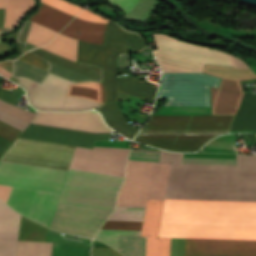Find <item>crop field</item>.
Listing matches in <instances>:
<instances>
[{"label":"crop field","instance_id":"crop-field-29","mask_svg":"<svg viewBox=\"0 0 256 256\" xmlns=\"http://www.w3.org/2000/svg\"><path fill=\"white\" fill-rule=\"evenodd\" d=\"M52 243L18 241L16 256H50Z\"/></svg>","mask_w":256,"mask_h":256},{"label":"crop field","instance_id":"crop-field-23","mask_svg":"<svg viewBox=\"0 0 256 256\" xmlns=\"http://www.w3.org/2000/svg\"><path fill=\"white\" fill-rule=\"evenodd\" d=\"M98 111L102 114L105 122L108 125L112 126L125 136L133 139L135 133L138 131V128L127 124L116 102L104 105L98 108ZM116 121L117 123H115Z\"/></svg>","mask_w":256,"mask_h":256},{"label":"crop field","instance_id":"crop-field-13","mask_svg":"<svg viewBox=\"0 0 256 256\" xmlns=\"http://www.w3.org/2000/svg\"><path fill=\"white\" fill-rule=\"evenodd\" d=\"M152 162L129 160L117 206L145 207Z\"/></svg>","mask_w":256,"mask_h":256},{"label":"crop field","instance_id":"crop-field-48","mask_svg":"<svg viewBox=\"0 0 256 256\" xmlns=\"http://www.w3.org/2000/svg\"><path fill=\"white\" fill-rule=\"evenodd\" d=\"M11 188L12 187H8V186H1L0 185V198L3 200V201H7L8 199V196H9V193L11 191Z\"/></svg>","mask_w":256,"mask_h":256},{"label":"crop field","instance_id":"crop-field-43","mask_svg":"<svg viewBox=\"0 0 256 256\" xmlns=\"http://www.w3.org/2000/svg\"><path fill=\"white\" fill-rule=\"evenodd\" d=\"M77 18L79 19H83V20H89V21H95V22H99V23H112L96 14H93L91 12H88L86 10H83L78 16Z\"/></svg>","mask_w":256,"mask_h":256},{"label":"crop field","instance_id":"crop-field-37","mask_svg":"<svg viewBox=\"0 0 256 256\" xmlns=\"http://www.w3.org/2000/svg\"><path fill=\"white\" fill-rule=\"evenodd\" d=\"M142 222L106 221L102 229L141 230Z\"/></svg>","mask_w":256,"mask_h":256},{"label":"crop field","instance_id":"crop-field-32","mask_svg":"<svg viewBox=\"0 0 256 256\" xmlns=\"http://www.w3.org/2000/svg\"><path fill=\"white\" fill-rule=\"evenodd\" d=\"M51 256H90V248L53 243Z\"/></svg>","mask_w":256,"mask_h":256},{"label":"crop field","instance_id":"crop-field-8","mask_svg":"<svg viewBox=\"0 0 256 256\" xmlns=\"http://www.w3.org/2000/svg\"><path fill=\"white\" fill-rule=\"evenodd\" d=\"M68 171L0 161V184L61 193Z\"/></svg>","mask_w":256,"mask_h":256},{"label":"crop field","instance_id":"crop-field-50","mask_svg":"<svg viewBox=\"0 0 256 256\" xmlns=\"http://www.w3.org/2000/svg\"><path fill=\"white\" fill-rule=\"evenodd\" d=\"M119 66L120 67L129 66V57H128V55L119 54Z\"/></svg>","mask_w":256,"mask_h":256},{"label":"crop field","instance_id":"crop-field-2","mask_svg":"<svg viewBox=\"0 0 256 256\" xmlns=\"http://www.w3.org/2000/svg\"><path fill=\"white\" fill-rule=\"evenodd\" d=\"M154 54L162 72H202L204 64L234 67L231 55L154 34ZM220 78L204 73H163L156 99L189 98L190 115H211L209 87ZM235 116H150L134 141L156 148L192 152L229 133Z\"/></svg>","mask_w":256,"mask_h":256},{"label":"crop field","instance_id":"crop-field-11","mask_svg":"<svg viewBox=\"0 0 256 256\" xmlns=\"http://www.w3.org/2000/svg\"><path fill=\"white\" fill-rule=\"evenodd\" d=\"M109 214L108 212L58 204L50 228L92 238Z\"/></svg>","mask_w":256,"mask_h":256},{"label":"crop field","instance_id":"crop-field-33","mask_svg":"<svg viewBox=\"0 0 256 256\" xmlns=\"http://www.w3.org/2000/svg\"><path fill=\"white\" fill-rule=\"evenodd\" d=\"M141 231L100 230L94 239L105 242L117 250L118 235H140Z\"/></svg>","mask_w":256,"mask_h":256},{"label":"crop field","instance_id":"crop-field-40","mask_svg":"<svg viewBox=\"0 0 256 256\" xmlns=\"http://www.w3.org/2000/svg\"><path fill=\"white\" fill-rule=\"evenodd\" d=\"M0 120L23 131L27 126L28 124L0 111Z\"/></svg>","mask_w":256,"mask_h":256},{"label":"crop field","instance_id":"crop-field-24","mask_svg":"<svg viewBox=\"0 0 256 256\" xmlns=\"http://www.w3.org/2000/svg\"><path fill=\"white\" fill-rule=\"evenodd\" d=\"M169 166L168 163L153 162L148 198L164 199Z\"/></svg>","mask_w":256,"mask_h":256},{"label":"crop field","instance_id":"crop-field-34","mask_svg":"<svg viewBox=\"0 0 256 256\" xmlns=\"http://www.w3.org/2000/svg\"><path fill=\"white\" fill-rule=\"evenodd\" d=\"M0 110L30 124V122L33 120V118L35 117L34 112H30L27 110H23L20 108H17L11 104H8L2 100H0Z\"/></svg>","mask_w":256,"mask_h":256},{"label":"crop field","instance_id":"crop-field-26","mask_svg":"<svg viewBox=\"0 0 256 256\" xmlns=\"http://www.w3.org/2000/svg\"><path fill=\"white\" fill-rule=\"evenodd\" d=\"M77 44V40L68 38L62 34H58L48 45L41 48L47 49L65 58L76 61Z\"/></svg>","mask_w":256,"mask_h":256},{"label":"crop field","instance_id":"crop-field-30","mask_svg":"<svg viewBox=\"0 0 256 256\" xmlns=\"http://www.w3.org/2000/svg\"><path fill=\"white\" fill-rule=\"evenodd\" d=\"M160 3L157 0H140L127 15V20L137 23H145L148 16Z\"/></svg>","mask_w":256,"mask_h":256},{"label":"crop field","instance_id":"crop-field-44","mask_svg":"<svg viewBox=\"0 0 256 256\" xmlns=\"http://www.w3.org/2000/svg\"><path fill=\"white\" fill-rule=\"evenodd\" d=\"M92 256H121L110 248L93 247Z\"/></svg>","mask_w":256,"mask_h":256},{"label":"crop field","instance_id":"crop-field-18","mask_svg":"<svg viewBox=\"0 0 256 256\" xmlns=\"http://www.w3.org/2000/svg\"><path fill=\"white\" fill-rule=\"evenodd\" d=\"M28 53L56 63L99 82L102 80V68L76 63L41 48L32 50Z\"/></svg>","mask_w":256,"mask_h":256},{"label":"crop field","instance_id":"crop-field-49","mask_svg":"<svg viewBox=\"0 0 256 256\" xmlns=\"http://www.w3.org/2000/svg\"><path fill=\"white\" fill-rule=\"evenodd\" d=\"M11 144L12 142L0 137V158L6 152V150L9 148Z\"/></svg>","mask_w":256,"mask_h":256},{"label":"crop field","instance_id":"crop-field-53","mask_svg":"<svg viewBox=\"0 0 256 256\" xmlns=\"http://www.w3.org/2000/svg\"><path fill=\"white\" fill-rule=\"evenodd\" d=\"M0 74L6 76L7 78L10 79L11 73L0 67Z\"/></svg>","mask_w":256,"mask_h":256},{"label":"crop field","instance_id":"crop-field-12","mask_svg":"<svg viewBox=\"0 0 256 256\" xmlns=\"http://www.w3.org/2000/svg\"><path fill=\"white\" fill-rule=\"evenodd\" d=\"M33 191L13 187L7 204L26 215ZM60 195L35 190L26 217L50 227Z\"/></svg>","mask_w":256,"mask_h":256},{"label":"crop field","instance_id":"crop-field-20","mask_svg":"<svg viewBox=\"0 0 256 256\" xmlns=\"http://www.w3.org/2000/svg\"><path fill=\"white\" fill-rule=\"evenodd\" d=\"M72 18L73 16L42 3L29 20L59 32Z\"/></svg>","mask_w":256,"mask_h":256},{"label":"crop field","instance_id":"crop-field-28","mask_svg":"<svg viewBox=\"0 0 256 256\" xmlns=\"http://www.w3.org/2000/svg\"><path fill=\"white\" fill-rule=\"evenodd\" d=\"M146 237L120 236L118 252L124 256H145Z\"/></svg>","mask_w":256,"mask_h":256},{"label":"crop field","instance_id":"crop-field-1","mask_svg":"<svg viewBox=\"0 0 256 256\" xmlns=\"http://www.w3.org/2000/svg\"><path fill=\"white\" fill-rule=\"evenodd\" d=\"M183 156L161 150L168 182L256 184V155L236 154L237 166L182 164ZM165 199L256 201V185L168 183ZM185 200H165L158 237L256 240V202Z\"/></svg>","mask_w":256,"mask_h":256},{"label":"crop field","instance_id":"crop-field-36","mask_svg":"<svg viewBox=\"0 0 256 256\" xmlns=\"http://www.w3.org/2000/svg\"><path fill=\"white\" fill-rule=\"evenodd\" d=\"M41 1L47 5H50L54 8L62 10V11L69 13L73 16L77 15L81 10H83L82 8H80L76 5L67 3L63 0H41Z\"/></svg>","mask_w":256,"mask_h":256},{"label":"crop field","instance_id":"crop-field-17","mask_svg":"<svg viewBox=\"0 0 256 256\" xmlns=\"http://www.w3.org/2000/svg\"><path fill=\"white\" fill-rule=\"evenodd\" d=\"M106 24L82 21L75 18L61 33L76 39L94 44H103V33ZM79 32V34H77Z\"/></svg>","mask_w":256,"mask_h":256},{"label":"crop field","instance_id":"crop-field-38","mask_svg":"<svg viewBox=\"0 0 256 256\" xmlns=\"http://www.w3.org/2000/svg\"><path fill=\"white\" fill-rule=\"evenodd\" d=\"M21 131L0 121V136L14 142Z\"/></svg>","mask_w":256,"mask_h":256},{"label":"crop field","instance_id":"crop-field-41","mask_svg":"<svg viewBox=\"0 0 256 256\" xmlns=\"http://www.w3.org/2000/svg\"><path fill=\"white\" fill-rule=\"evenodd\" d=\"M132 150L159 153V151L136 150V149H132ZM158 158H159V155H155V154H145V153H135V152H131L129 159H134V160H146V161H155V162H158Z\"/></svg>","mask_w":256,"mask_h":256},{"label":"crop field","instance_id":"crop-field-52","mask_svg":"<svg viewBox=\"0 0 256 256\" xmlns=\"http://www.w3.org/2000/svg\"><path fill=\"white\" fill-rule=\"evenodd\" d=\"M4 24V9H0V27Z\"/></svg>","mask_w":256,"mask_h":256},{"label":"crop field","instance_id":"crop-field-4","mask_svg":"<svg viewBox=\"0 0 256 256\" xmlns=\"http://www.w3.org/2000/svg\"><path fill=\"white\" fill-rule=\"evenodd\" d=\"M34 124L73 129L86 132H111L94 111L79 113L38 112ZM30 124L22 138L93 148L95 141L109 140L110 133L93 134Z\"/></svg>","mask_w":256,"mask_h":256},{"label":"crop field","instance_id":"crop-field-9","mask_svg":"<svg viewBox=\"0 0 256 256\" xmlns=\"http://www.w3.org/2000/svg\"><path fill=\"white\" fill-rule=\"evenodd\" d=\"M204 73L222 78L218 89L210 88L212 115H235L243 91L239 80L255 79L251 69H232L205 65Z\"/></svg>","mask_w":256,"mask_h":256},{"label":"crop field","instance_id":"crop-field-21","mask_svg":"<svg viewBox=\"0 0 256 256\" xmlns=\"http://www.w3.org/2000/svg\"><path fill=\"white\" fill-rule=\"evenodd\" d=\"M34 0H0V8H5L4 27H16L20 19L30 10ZM13 28H0V35ZM1 42V41H0Z\"/></svg>","mask_w":256,"mask_h":256},{"label":"crop field","instance_id":"crop-field-7","mask_svg":"<svg viewBox=\"0 0 256 256\" xmlns=\"http://www.w3.org/2000/svg\"><path fill=\"white\" fill-rule=\"evenodd\" d=\"M76 148L18 138L1 160L69 170Z\"/></svg>","mask_w":256,"mask_h":256},{"label":"crop field","instance_id":"crop-field-27","mask_svg":"<svg viewBox=\"0 0 256 256\" xmlns=\"http://www.w3.org/2000/svg\"><path fill=\"white\" fill-rule=\"evenodd\" d=\"M47 229L21 216L19 239L25 241L45 242Z\"/></svg>","mask_w":256,"mask_h":256},{"label":"crop field","instance_id":"crop-field-45","mask_svg":"<svg viewBox=\"0 0 256 256\" xmlns=\"http://www.w3.org/2000/svg\"><path fill=\"white\" fill-rule=\"evenodd\" d=\"M115 3L118 7L122 8L124 11L129 12L132 7L137 3L138 0H109Z\"/></svg>","mask_w":256,"mask_h":256},{"label":"crop field","instance_id":"crop-field-19","mask_svg":"<svg viewBox=\"0 0 256 256\" xmlns=\"http://www.w3.org/2000/svg\"><path fill=\"white\" fill-rule=\"evenodd\" d=\"M256 131V94L245 93L231 131Z\"/></svg>","mask_w":256,"mask_h":256},{"label":"crop field","instance_id":"crop-field-54","mask_svg":"<svg viewBox=\"0 0 256 256\" xmlns=\"http://www.w3.org/2000/svg\"><path fill=\"white\" fill-rule=\"evenodd\" d=\"M34 47H37V46L26 42L25 46H24V49L25 50H29V49L34 48Z\"/></svg>","mask_w":256,"mask_h":256},{"label":"crop field","instance_id":"crop-field-15","mask_svg":"<svg viewBox=\"0 0 256 256\" xmlns=\"http://www.w3.org/2000/svg\"><path fill=\"white\" fill-rule=\"evenodd\" d=\"M20 60H23L27 63H30L32 65H35L39 68H42L46 70L49 65H51L47 71L52 72L54 74H57L59 76H62L64 78H67L69 80H72L74 82H80V81H94L92 79H89L87 77H84L80 74H77L75 72H72L70 70H67L65 68H62L60 66H57L55 64H52L49 62V65L47 61L40 59L38 57H35L33 55H30L28 53H25L23 56L18 58ZM13 60V74L12 78H26L33 81H37L42 83L44 78L48 75V72L41 70L37 67H34L32 65H29L25 62H22L20 60Z\"/></svg>","mask_w":256,"mask_h":256},{"label":"crop field","instance_id":"crop-field-5","mask_svg":"<svg viewBox=\"0 0 256 256\" xmlns=\"http://www.w3.org/2000/svg\"><path fill=\"white\" fill-rule=\"evenodd\" d=\"M122 180L70 170L59 203L112 212Z\"/></svg>","mask_w":256,"mask_h":256},{"label":"crop field","instance_id":"crop-field-14","mask_svg":"<svg viewBox=\"0 0 256 256\" xmlns=\"http://www.w3.org/2000/svg\"><path fill=\"white\" fill-rule=\"evenodd\" d=\"M184 256H256V241L185 239Z\"/></svg>","mask_w":256,"mask_h":256},{"label":"crop field","instance_id":"crop-field-10","mask_svg":"<svg viewBox=\"0 0 256 256\" xmlns=\"http://www.w3.org/2000/svg\"><path fill=\"white\" fill-rule=\"evenodd\" d=\"M130 149L78 148L70 169L124 177Z\"/></svg>","mask_w":256,"mask_h":256},{"label":"crop field","instance_id":"crop-field-31","mask_svg":"<svg viewBox=\"0 0 256 256\" xmlns=\"http://www.w3.org/2000/svg\"><path fill=\"white\" fill-rule=\"evenodd\" d=\"M56 34L57 32L33 22L26 41L40 46L48 43Z\"/></svg>","mask_w":256,"mask_h":256},{"label":"crop field","instance_id":"crop-field-39","mask_svg":"<svg viewBox=\"0 0 256 256\" xmlns=\"http://www.w3.org/2000/svg\"><path fill=\"white\" fill-rule=\"evenodd\" d=\"M184 163L235 165V160L184 158Z\"/></svg>","mask_w":256,"mask_h":256},{"label":"crop field","instance_id":"crop-field-16","mask_svg":"<svg viewBox=\"0 0 256 256\" xmlns=\"http://www.w3.org/2000/svg\"><path fill=\"white\" fill-rule=\"evenodd\" d=\"M164 200L147 199L141 236H147L146 256H169L171 238H157Z\"/></svg>","mask_w":256,"mask_h":256},{"label":"crop field","instance_id":"crop-field-35","mask_svg":"<svg viewBox=\"0 0 256 256\" xmlns=\"http://www.w3.org/2000/svg\"><path fill=\"white\" fill-rule=\"evenodd\" d=\"M143 208H122L118 207L110 218L111 220H135L141 221Z\"/></svg>","mask_w":256,"mask_h":256},{"label":"crop field","instance_id":"crop-field-51","mask_svg":"<svg viewBox=\"0 0 256 256\" xmlns=\"http://www.w3.org/2000/svg\"><path fill=\"white\" fill-rule=\"evenodd\" d=\"M233 59H234L236 68H249L245 62H243L235 57H233Z\"/></svg>","mask_w":256,"mask_h":256},{"label":"crop field","instance_id":"crop-field-3","mask_svg":"<svg viewBox=\"0 0 256 256\" xmlns=\"http://www.w3.org/2000/svg\"><path fill=\"white\" fill-rule=\"evenodd\" d=\"M121 28L116 24H107L104 35V45H94L79 41L78 62L102 67L104 52L119 53ZM127 45L135 50L145 45L137 34H132L122 29L120 53H128ZM116 55H105L103 64L104 103L114 101L116 89ZM158 87L145 84L132 77L117 80V89L129 95L154 100ZM117 90V91H118Z\"/></svg>","mask_w":256,"mask_h":256},{"label":"crop field","instance_id":"crop-field-42","mask_svg":"<svg viewBox=\"0 0 256 256\" xmlns=\"http://www.w3.org/2000/svg\"><path fill=\"white\" fill-rule=\"evenodd\" d=\"M20 92H21L20 87L16 88L13 91V93H9L0 89V99L16 105Z\"/></svg>","mask_w":256,"mask_h":256},{"label":"crop field","instance_id":"crop-field-6","mask_svg":"<svg viewBox=\"0 0 256 256\" xmlns=\"http://www.w3.org/2000/svg\"><path fill=\"white\" fill-rule=\"evenodd\" d=\"M71 83L50 73L42 84L26 79H19L17 84L27 90L30 104L38 110L80 111L100 106L82 98L65 97Z\"/></svg>","mask_w":256,"mask_h":256},{"label":"crop field","instance_id":"crop-field-22","mask_svg":"<svg viewBox=\"0 0 256 256\" xmlns=\"http://www.w3.org/2000/svg\"><path fill=\"white\" fill-rule=\"evenodd\" d=\"M20 215L0 200V242L17 243Z\"/></svg>","mask_w":256,"mask_h":256},{"label":"crop field","instance_id":"crop-field-25","mask_svg":"<svg viewBox=\"0 0 256 256\" xmlns=\"http://www.w3.org/2000/svg\"><path fill=\"white\" fill-rule=\"evenodd\" d=\"M66 96H75L103 103V86L96 82H80L69 86Z\"/></svg>","mask_w":256,"mask_h":256},{"label":"crop field","instance_id":"crop-field-47","mask_svg":"<svg viewBox=\"0 0 256 256\" xmlns=\"http://www.w3.org/2000/svg\"><path fill=\"white\" fill-rule=\"evenodd\" d=\"M31 23H32L31 21H28V20L26 21L25 25L19 31L16 41L22 42V43L25 42Z\"/></svg>","mask_w":256,"mask_h":256},{"label":"crop field","instance_id":"crop-field-46","mask_svg":"<svg viewBox=\"0 0 256 256\" xmlns=\"http://www.w3.org/2000/svg\"><path fill=\"white\" fill-rule=\"evenodd\" d=\"M16 245L0 244V256H14Z\"/></svg>","mask_w":256,"mask_h":256}]
</instances>
